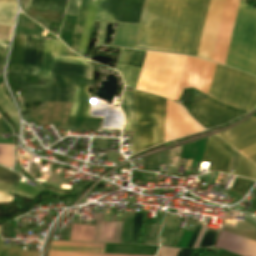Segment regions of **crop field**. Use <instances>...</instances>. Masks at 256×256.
Returning <instances> with one entry per match:
<instances>
[{
  "mask_svg": "<svg viewBox=\"0 0 256 256\" xmlns=\"http://www.w3.org/2000/svg\"><path fill=\"white\" fill-rule=\"evenodd\" d=\"M2 243H3V240H0V247H1Z\"/></svg>",
  "mask_w": 256,
  "mask_h": 256,
  "instance_id": "crop-field-49",
  "label": "crop field"
},
{
  "mask_svg": "<svg viewBox=\"0 0 256 256\" xmlns=\"http://www.w3.org/2000/svg\"><path fill=\"white\" fill-rule=\"evenodd\" d=\"M65 51L66 46L61 41L56 39L45 40L41 77L49 79V75L52 69V60L89 66L88 63L80 57L65 56Z\"/></svg>",
  "mask_w": 256,
  "mask_h": 256,
  "instance_id": "crop-field-13",
  "label": "crop field"
},
{
  "mask_svg": "<svg viewBox=\"0 0 256 256\" xmlns=\"http://www.w3.org/2000/svg\"><path fill=\"white\" fill-rule=\"evenodd\" d=\"M203 130L183 106L167 100L165 142Z\"/></svg>",
  "mask_w": 256,
  "mask_h": 256,
  "instance_id": "crop-field-10",
  "label": "crop field"
},
{
  "mask_svg": "<svg viewBox=\"0 0 256 256\" xmlns=\"http://www.w3.org/2000/svg\"><path fill=\"white\" fill-rule=\"evenodd\" d=\"M104 224H105V222H103V225H102V232H101V239H100V242H101V240H102V235H103Z\"/></svg>",
  "mask_w": 256,
  "mask_h": 256,
  "instance_id": "crop-field-47",
  "label": "crop field"
},
{
  "mask_svg": "<svg viewBox=\"0 0 256 256\" xmlns=\"http://www.w3.org/2000/svg\"><path fill=\"white\" fill-rule=\"evenodd\" d=\"M121 109L126 115L125 131L133 130L132 148L134 154L139 151V147L137 137L134 96L132 91L124 90Z\"/></svg>",
  "mask_w": 256,
  "mask_h": 256,
  "instance_id": "crop-field-18",
  "label": "crop field"
},
{
  "mask_svg": "<svg viewBox=\"0 0 256 256\" xmlns=\"http://www.w3.org/2000/svg\"><path fill=\"white\" fill-rule=\"evenodd\" d=\"M159 228L160 226L158 225L152 226L148 244H155V241L158 242L157 234L159 232Z\"/></svg>",
  "mask_w": 256,
  "mask_h": 256,
  "instance_id": "crop-field-41",
  "label": "crop field"
},
{
  "mask_svg": "<svg viewBox=\"0 0 256 256\" xmlns=\"http://www.w3.org/2000/svg\"><path fill=\"white\" fill-rule=\"evenodd\" d=\"M254 134H256V118L252 117L249 120H247L246 122L232 128L224 133L219 134V136L223 140H225L227 143L232 145V144L237 143L241 140H244ZM255 143H256V135H254L244 141H241L237 144H234L232 146L239 151V150L246 148L248 146H251ZM241 152L244 153L247 157H249L256 153V145H253L247 149H244ZM248 159H250L253 163L256 164V155H253V156L249 157Z\"/></svg>",
  "mask_w": 256,
  "mask_h": 256,
  "instance_id": "crop-field-11",
  "label": "crop field"
},
{
  "mask_svg": "<svg viewBox=\"0 0 256 256\" xmlns=\"http://www.w3.org/2000/svg\"><path fill=\"white\" fill-rule=\"evenodd\" d=\"M80 0H69L66 14L76 16Z\"/></svg>",
  "mask_w": 256,
  "mask_h": 256,
  "instance_id": "crop-field-38",
  "label": "crop field"
},
{
  "mask_svg": "<svg viewBox=\"0 0 256 256\" xmlns=\"http://www.w3.org/2000/svg\"><path fill=\"white\" fill-rule=\"evenodd\" d=\"M134 95L141 151L164 142L166 99L136 90H134Z\"/></svg>",
  "mask_w": 256,
  "mask_h": 256,
  "instance_id": "crop-field-7",
  "label": "crop field"
},
{
  "mask_svg": "<svg viewBox=\"0 0 256 256\" xmlns=\"http://www.w3.org/2000/svg\"><path fill=\"white\" fill-rule=\"evenodd\" d=\"M10 27L0 25V39L7 40Z\"/></svg>",
  "mask_w": 256,
  "mask_h": 256,
  "instance_id": "crop-field-42",
  "label": "crop field"
},
{
  "mask_svg": "<svg viewBox=\"0 0 256 256\" xmlns=\"http://www.w3.org/2000/svg\"><path fill=\"white\" fill-rule=\"evenodd\" d=\"M51 245L104 248V244L52 241Z\"/></svg>",
  "mask_w": 256,
  "mask_h": 256,
  "instance_id": "crop-field-34",
  "label": "crop field"
},
{
  "mask_svg": "<svg viewBox=\"0 0 256 256\" xmlns=\"http://www.w3.org/2000/svg\"><path fill=\"white\" fill-rule=\"evenodd\" d=\"M200 228H201V227H195V230H194L193 236H192V238H191V240H190V242H189V244H188V246H187V247H189V248H191V247H192V245H193V243H194V241H195V239H196V236H197V234H198V232H199Z\"/></svg>",
  "mask_w": 256,
  "mask_h": 256,
  "instance_id": "crop-field-43",
  "label": "crop field"
},
{
  "mask_svg": "<svg viewBox=\"0 0 256 256\" xmlns=\"http://www.w3.org/2000/svg\"><path fill=\"white\" fill-rule=\"evenodd\" d=\"M21 177L14 172L0 167V203L10 204L13 196L7 195Z\"/></svg>",
  "mask_w": 256,
  "mask_h": 256,
  "instance_id": "crop-field-20",
  "label": "crop field"
},
{
  "mask_svg": "<svg viewBox=\"0 0 256 256\" xmlns=\"http://www.w3.org/2000/svg\"><path fill=\"white\" fill-rule=\"evenodd\" d=\"M45 104L47 109L29 113V118L39 125L66 124L71 102Z\"/></svg>",
  "mask_w": 256,
  "mask_h": 256,
  "instance_id": "crop-field-16",
  "label": "crop field"
},
{
  "mask_svg": "<svg viewBox=\"0 0 256 256\" xmlns=\"http://www.w3.org/2000/svg\"><path fill=\"white\" fill-rule=\"evenodd\" d=\"M208 95L229 105L251 111L256 106V78L217 65Z\"/></svg>",
  "mask_w": 256,
  "mask_h": 256,
  "instance_id": "crop-field-5",
  "label": "crop field"
},
{
  "mask_svg": "<svg viewBox=\"0 0 256 256\" xmlns=\"http://www.w3.org/2000/svg\"><path fill=\"white\" fill-rule=\"evenodd\" d=\"M67 0H32L30 6L64 13Z\"/></svg>",
  "mask_w": 256,
  "mask_h": 256,
  "instance_id": "crop-field-27",
  "label": "crop field"
},
{
  "mask_svg": "<svg viewBox=\"0 0 256 256\" xmlns=\"http://www.w3.org/2000/svg\"><path fill=\"white\" fill-rule=\"evenodd\" d=\"M235 175L256 180V167L240 156Z\"/></svg>",
  "mask_w": 256,
  "mask_h": 256,
  "instance_id": "crop-field-28",
  "label": "crop field"
},
{
  "mask_svg": "<svg viewBox=\"0 0 256 256\" xmlns=\"http://www.w3.org/2000/svg\"><path fill=\"white\" fill-rule=\"evenodd\" d=\"M44 39L27 36L22 74L39 77Z\"/></svg>",
  "mask_w": 256,
  "mask_h": 256,
  "instance_id": "crop-field-15",
  "label": "crop field"
},
{
  "mask_svg": "<svg viewBox=\"0 0 256 256\" xmlns=\"http://www.w3.org/2000/svg\"><path fill=\"white\" fill-rule=\"evenodd\" d=\"M50 250H59V251H80V252H101L103 253L104 249H95V248H77V247H59L51 246Z\"/></svg>",
  "mask_w": 256,
  "mask_h": 256,
  "instance_id": "crop-field-35",
  "label": "crop field"
},
{
  "mask_svg": "<svg viewBox=\"0 0 256 256\" xmlns=\"http://www.w3.org/2000/svg\"><path fill=\"white\" fill-rule=\"evenodd\" d=\"M146 52L122 49L116 66L127 86L136 87Z\"/></svg>",
  "mask_w": 256,
  "mask_h": 256,
  "instance_id": "crop-field-14",
  "label": "crop field"
},
{
  "mask_svg": "<svg viewBox=\"0 0 256 256\" xmlns=\"http://www.w3.org/2000/svg\"><path fill=\"white\" fill-rule=\"evenodd\" d=\"M243 2L240 1L225 65L256 76V10Z\"/></svg>",
  "mask_w": 256,
  "mask_h": 256,
  "instance_id": "crop-field-3",
  "label": "crop field"
},
{
  "mask_svg": "<svg viewBox=\"0 0 256 256\" xmlns=\"http://www.w3.org/2000/svg\"><path fill=\"white\" fill-rule=\"evenodd\" d=\"M16 10V0H0V23L13 25Z\"/></svg>",
  "mask_w": 256,
  "mask_h": 256,
  "instance_id": "crop-field-25",
  "label": "crop field"
},
{
  "mask_svg": "<svg viewBox=\"0 0 256 256\" xmlns=\"http://www.w3.org/2000/svg\"><path fill=\"white\" fill-rule=\"evenodd\" d=\"M233 149L216 136L209 138L203 162H209V171L227 173Z\"/></svg>",
  "mask_w": 256,
  "mask_h": 256,
  "instance_id": "crop-field-12",
  "label": "crop field"
},
{
  "mask_svg": "<svg viewBox=\"0 0 256 256\" xmlns=\"http://www.w3.org/2000/svg\"><path fill=\"white\" fill-rule=\"evenodd\" d=\"M240 0H210L201 37V42L198 51V58L210 61L214 42L218 30V25L222 13H223L219 25V30L215 42V47L212 55V62L219 64L225 63L230 38L235 22V17Z\"/></svg>",
  "mask_w": 256,
  "mask_h": 256,
  "instance_id": "crop-field-2",
  "label": "crop field"
},
{
  "mask_svg": "<svg viewBox=\"0 0 256 256\" xmlns=\"http://www.w3.org/2000/svg\"><path fill=\"white\" fill-rule=\"evenodd\" d=\"M8 43V41L0 40V64H3L5 61Z\"/></svg>",
  "mask_w": 256,
  "mask_h": 256,
  "instance_id": "crop-field-39",
  "label": "crop field"
},
{
  "mask_svg": "<svg viewBox=\"0 0 256 256\" xmlns=\"http://www.w3.org/2000/svg\"><path fill=\"white\" fill-rule=\"evenodd\" d=\"M215 247L226 249L242 256H256L255 242L223 231L221 232Z\"/></svg>",
  "mask_w": 256,
  "mask_h": 256,
  "instance_id": "crop-field-17",
  "label": "crop field"
},
{
  "mask_svg": "<svg viewBox=\"0 0 256 256\" xmlns=\"http://www.w3.org/2000/svg\"><path fill=\"white\" fill-rule=\"evenodd\" d=\"M2 68H3V66H0V75L2 74Z\"/></svg>",
  "mask_w": 256,
  "mask_h": 256,
  "instance_id": "crop-field-48",
  "label": "crop field"
},
{
  "mask_svg": "<svg viewBox=\"0 0 256 256\" xmlns=\"http://www.w3.org/2000/svg\"><path fill=\"white\" fill-rule=\"evenodd\" d=\"M87 86H76L69 116L90 117V97Z\"/></svg>",
  "mask_w": 256,
  "mask_h": 256,
  "instance_id": "crop-field-19",
  "label": "crop field"
},
{
  "mask_svg": "<svg viewBox=\"0 0 256 256\" xmlns=\"http://www.w3.org/2000/svg\"><path fill=\"white\" fill-rule=\"evenodd\" d=\"M98 2H99V0H91L90 1L89 10H88V14H87V18H86V22H85V26H84V31H83L79 51H78V54H80L81 56H84V52H85L87 42H88V39L90 36V32H91V29L93 26Z\"/></svg>",
  "mask_w": 256,
  "mask_h": 256,
  "instance_id": "crop-field-24",
  "label": "crop field"
},
{
  "mask_svg": "<svg viewBox=\"0 0 256 256\" xmlns=\"http://www.w3.org/2000/svg\"><path fill=\"white\" fill-rule=\"evenodd\" d=\"M91 67L53 61L47 88H22L27 97L23 102L71 101L76 77L90 79Z\"/></svg>",
  "mask_w": 256,
  "mask_h": 256,
  "instance_id": "crop-field-6",
  "label": "crop field"
},
{
  "mask_svg": "<svg viewBox=\"0 0 256 256\" xmlns=\"http://www.w3.org/2000/svg\"><path fill=\"white\" fill-rule=\"evenodd\" d=\"M14 145H0V164L11 168L14 162Z\"/></svg>",
  "mask_w": 256,
  "mask_h": 256,
  "instance_id": "crop-field-30",
  "label": "crop field"
},
{
  "mask_svg": "<svg viewBox=\"0 0 256 256\" xmlns=\"http://www.w3.org/2000/svg\"><path fill=\"white\" fill-rule=\"evenodd\" d=\"M252 181L244 180L241 178H235L231 190L237 193L243 194L248 183Z\"/></svg>",
  "mask_w": 256,
  "mask_h": 256,
  "instance_id": "crop-field-37",
  "label": "crop field"
},
{
  "mask_svg": "<svg viewBox=\"0 0 256 256\" xmlns=\"http://www.w3.org/2000/svg\"><path fill=\"white\" fill-rule=\"evenodd\" d=\"M21 1H22L23 5L25 6V8H27L31 0H21Z\"/></svg>",
  "mask_w": 256,
  "mask_h": 256,
  "instance_id": "crop-field-46",
  "label": "crop field"
},
{
  "mask_svg": "<svg viewBox=\"0 0 256 256\" xmlns=\"http://www.w3.org/2000/svg\"><path fill=\"white\" fill-rule=\"evenodd\" d=\"M179 249L161 247L157 256H176Z\"/></svg>",
  "mask_w": 256,
  "mask_h": 256,
  "instance_id": "crop-field-40",
  "label": "crop field"
},
{
  "mask_svg": "<svg viewBox=\"0 0 256 256\" xmlns=\"http://www.w3.org/2000/svg\"><path fill=\"white\" fill-rule=\"evenodd\" d=\"M0 109L19 129L17 111L13 107L12 103L9 101L8 97L5 96L2 84L0 85Z\"/></svg>",
  "mask_w": 256,
  "mask_h": 256,
  "instance_id": "crop-field-26",
  "label": "crop field"
},
{
  "mask_svg": "<svg viewBox=\"0 0 256 256\" xmlns=\"http://www.w3.org/2000/svg\"><path fill=\"white\" fill-rule=\"evenodd\" d=\"M141 217H142V213H135L132 240H131V243H134V244H136L137 242L138 233L141 225Z\"/></svg>",
  "mask_w": 256,
  "mask_h": 256,
  "instance_id": "crop-field-36",
  "label": "crop field"
},
{
  "mask_svg": "<svg viewBox=\"0 0 256 256\" xmlns=\"http://www.w3.org/2000/svg\"><path fill=\"white\" fill-rule=\"evenodd\" d=\"M222 175H223V174L220 175V178L222 177ZM220 178H219V179H220Z\"/></svg>",
  "mask_w": 256,
  "mask_h": 256,
  "instance_id": "crop-field-50",
  "label": "crop field"
},
{
  "mask_svg": "<svg viewBox=\"0 0 256 256\" xmlns=\"http://www.w3.org/2000/svg\"><path fill=\"white\" fill-rule=\"evenodd\" d=\"M178 216L166 215L163 229L160 235L162 244L172 245L178 232L180 223L176 221Z\"/></svg>",
  "mask_w": 256,
  "mask_h": 256,
  "instance_id": "crop-field-23",
  "label": "crop field"
},
{
  "mask_svg": "<svg viewBox=\"0 0 256 256\" xmlns=\"http://www.w3.org/2000/svg\"><path fill=\"white\" fill-rule=\"evenodd\" d=\"M134 213H124L120 243H130Z\"/></svg>",
  "mask_w": 256,
  "mask_h": 256,
  "instance_id": "crop-field-29",
  "label": "crop field"
},
{
  "mask_svg": "<svg viewBox=\"0 0 256 256\" xmlns=\"http://www.w3.org/2000/svg\"><path fill=\"white\" fill-rule=\"evenodd\" d=\"M190 114L206 128L224 124L243 115L242 112L224 106L210 98L193 104L190 108Z\"/></svg>",
  "mask_w": 256,
  "mask_h": 256,
  "instance_id": "crop-field-9",
  "label": "crop field"
},
{
  "mask_svg": "<svg viewBox=\"0 0 256 256\" xmlns=\"http://www.w3.org/2000/svg\"><path fill=\"white\" fill-rule=\"evenodd\" d=\"M90 0H81L79 11H78V16L74 28V33L71 41L70 48H72L74 51H78L81 35H82V30L88 10V5H89Z\"/></svg>",
  "mask_w": 256,
  "mask_h": 256,
  "instance_id": "crop-field-22",
  "label": "crop field"
},
{
  "mask_svg": "<svg viewBox=\"0 0 256 256\" xmlns=\"http://www.w3.org/2000/svg\"><path fill=\"white\" fill-rule=\"evenodd\" d=\"M193 249H180L177 256H190Z\"/></svg>",
  "mask_w": 256,
  "mask_h": 256,
  "instance_id": "crop-field-44",
  "label": "crop field"
},
{
  "mask_svg": "<svg viewBox=\"0 0 256 256\" xmlns=\"http://www.w3.org/2000/svg\"><path fill=\"white\" fill-rule=\"evenodd\" d=\"M144 0H100L95 20L100 21L96 44L103 45L107 21L138 24ZM137 25L119 23L111 45L132 47Z\"/></svg>",
  "mask_w": 256,
  "mask_h": 256,
  "instance_id": "crop-field-4",
  "label": "crop field"
},
{
  "mask_svg": "<svg viewBox=\"0 0 256 256\" xmlns=\"http://www.w3.org/2000/svg\"><path fill=\"white\" fill-rule=\"evenodd\" d=\"M209 0H145L136 49L196 56Z\"/></svg>",
  "mask_w": 256,
  "mask_h": 256,
  "instance_id": "crop-field-1",
  "label": "crop field"
},
{
  "mask_svg": "<svg viewBox=\"0 0 256 256\" xmlns=\"http://www.w3.org/2000/svg\"><path fill=\"white\" fill-rule=\"evenodd\" d=\"M220 230L207 229L198 248H213Z\"/></svg>",
  "mask_w": 256,
  "mask_h": 256,
  "instance_id": "crop-field-31",
  "label": "crop field"
},
{
  "mask_svg": "<svg viewBox=\"0 0 256 256\" xmlns=\"http://www.w3.org/2000/svg\"><path fill=\"white\" fill-rule=\"evenodd\" d=\"M48 256H144V255L94 254V253L49 251Z\"/></svg>",
  "mask_w": 256,
  "mask_h": 256,
  "instance_id": "crop-field-32",
  "label": "crop field"
},
{
  "mask_svg": "<svg viewBox=\"0 0 256 256\" xmlns=\"http://www.w3.org/2000/svg\"><path fill=\"white\" fill-rule=\"evenodd\" d=\"M0 256H38V252L1 248Z\"/></svg>",
  "mask_w": 256,
  "mask_h": 256,
  "instance_id": "crop-field-33",
  "label": "crop field"
},
{
  "mask_svg": "<svg viewBox=\"0 0 256 256\" xmlns=\"http://www.w3.org/2000/svg\"><path fill=\"white\" fill-rule=\"evenodd\" d=\"M25 38L26 35H15L7 71L21 72Z\"/></svg>",
  "mask_w": 256,
  "mask_h": 256,
  "instance_id": "crop-field-21",
  "label": "crop field"
},
{
  "mask_svg": "<svg viewBox=\"0 0 256 256\" xmlns=\"http://www.w3.org/2000/svg\"><path fill=\"white\" fill-rule=\"evenodd\" d=\"M204 226H205V225L202 226V229H201V231H200V233H199V235H198V237H197V239H196V241H195V243H194V245H193L192 248H197V247H198V245H199V243H200V240H201V238H202V236H203V233H204V231H205V229H206V226H205V228H204ZM203 228H204V230H203ZM202 230H203V232H202ZM201 232H202V234H201Z\"/></svg>",
  "mask_w": 256,
  "mask_h": 256,
  "instance_id": "crop-field-45",
  "label": "crop field"
},
{
  "mask_svg": "<svg viewBox=\"0 0 256 256\" xmlns=\"http://www.w3.org/2000/svg\"><path fill=\"white\" fill-rule=\"evenodd\" d=\"M215 66L212 63L187 57L175 100L178 101L182 90L186 88H194L207 95Z\"/></svg>",
  "mask_w": 256,
  "mask_h": 256,
  "instance_id": "crop-field-8",
  "label": "crop field"
}]
</instances>
